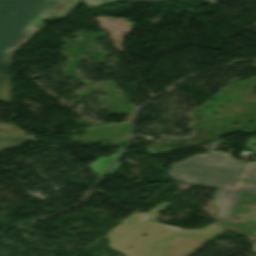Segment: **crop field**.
Here are the masks:
<instances>
[{
    "label": "crop field",
    "mask_w": 256,
    "mask_h": 256,
    "mask_svg": "<svg viewBox=\"0 0 256 256\" xmlns=\"http://www.w3.org/2000/svg\"><path fill=\"white\" fill-rule=\"evenodd\" d=\"M203 1H207V2H211V3H213V4H216V2H217L218 0H203Z\"/></svg>",
    "instance_id": "crop-field-15"
},
{
    "label": "crop field",
    "mask_w": 256,
    "mask_h": 256,
    "mask_svg": "<svg viewBox=\"0 0 256 256\" xmlns=\"http://www.w3.org/2000/svg\"><path fill=\"white\" fill-rule=\"evenodd\" d=\"M26 138L0 135V151L18 146L26 142Z\"/></svg>",
    "instance_id": "crop-field-8"
},
{
    "label": "crop field",
    "mask_w": 256,
    "mask_h": 256,
    "mask_svg": "<svg viewBox=\"0 0 256 256\" xmlns=\"http://www.w3.org/2000/svg\"><path fill=\"white\" fill-rule=\"evenodd\" d=\"M11 77L0 76V100L10 101ZM1 126L16 127L9 124H1ZM18 128V127H17Z\"/></svg>",
    "instance_id": "crop-field-7"
},
{
    "label": "crop field",
    "mask_w": 256,
    "mask_h": 256,
    "mask_svg": "<svg viewBox=\"0 0 256 256\" xmlns=\"http://www.w3.org/2000/svg\"><path fill=\"white\" fill-rule=\"evenodd\" d=\"M168 175L177 181L219 188L214 197V203L219 208L218 219H226L235 212L245 213L248 209L240 207V203H254L256 201V189L236 187L240 180L237 178L175 169H171ZM244 186L256 188V182L247 180ZM221 225L223 228L235 226L239 229V234H256V221L247 224H233L231 221H227ZM253 246V251L256 252V243H253Z\"/></svg>",
    "instance_id": "crop-field-3"
},
{
    "label": "crop field",
    "mask_w": 256,
    "mask_h": 256,
    "mask_svg": "<svg viewBox=\"0 0 256 256\" xmlns=\"http://www.w3.org/2000/svg\"><path fill=\"white\" fill-rule=\"evenodd\" d=\"M88 8L94 7L97 4H101L108 1H114V0H82Z\"/></svg>",
    "instance_id": "crop-field-13"
},
{
    "label": "crop field",
    "mask_w": 256,
    "mask_h": 256,
    "mask_svg": "<svg viewBox=\"0 0 256 256\" xmlns=\"http://www.w3.org/2000/svg\"><path fill=\"white\" fill-rule=\"evenodd\" d=\"M79 0H0V63L11 64L12 54L41 29L46 17L63 18Z\"/></svg>",
    "instance_id": "crop-field-1"
},
{
    "label": "crop field",
    "mask_w": 256,
    "mask_h": 256,
    "mask_svg": "<svg viewBox=\"0 0 256 256\" xmlns=\"http://www.w3.org/2000/svg\"><path fill=\"white\" fill-rule=\"evenodd\" d=\"M248 165V163L231 161L228 157L214 152L207 155H193L176 163L174 167L242 177Z\"/></svg>",
    "instance_id": "crop-field-4"
},
{
    "label": "crop field",
    "mask_w": 256,
    "mask_h": 256,
    "mask_svg": "<svg viewBox=\"0 0 256 256\" xmlns=\"http://www.w3.org/2000/svg\"><path fill=\"white\" fill-rule=\"evenodd\" d=\"M0 132L26 136V132H24L21 129H17V128H9V127H1L0 126Z\"/></svg>",
    "instance_id": "crop-field-9"
},
{
    "label": "crop field",
    "mask_w": 256,
    "mask_h": 256,
    "mask_svg": "<svg viewBox=\"0 0 256 256\" xmlns=\"http://www.w3.org/2000/svg\"><path fill=\"white\" fill-rule=\"evenodd\" d=\"M124 164L118 162L117 165L110 171L107 176H112L119 168H121Z\"/></svg>",
    "instance_id": "crop-field-14"
},
{
    "label": "crop field",
    "mask_w": 256,
    "mask_h": 256,
    "mask_svg": "<svg viewBox=\"0 0 256 256\" xmlns=\"http://www.w3.org/2000/svg\"><path fill=\"white\" fill-rule=\"evenodd\" d=\"M141 215L133 214L106 235L110 240L112 250L125 256H165L162 253L174 241L197 235L210 240L225 229L218 223L206 226L203 230H185L170 226H162L153 222H143ZM160 231L164 234L159 233ZM146 233L147 238L140 237ZM131 245H135L131 250Z\"/></svg>",
    "instance_id": "crop-field-2"
},
{
    "label": "crop field",
    "mask_w": 256,
    "mask_h": 256,
    "mask_svg": "<svg viewBox=\"0 0 256 256\" xmlns=\"http://www.w3.org/2000/svg\"><path fill=\"white\" fill-rule=\"evenodd\" d=\"M244 178L256 180V163L252 164Z\"/></svg>",
    "instance_id": "crop-field-12"
},
{
    "label": "crop field",
    "mask_w": 256,
    "mask_h": 256,
    "mask_svg": "<svg viewBox=\"0 0 256 256\" xmlns=\"http://www.w3.org/2000/svg\"><path fill=\"white\" fill-rule=\"evenodd\" d=\"M12 65L0 64V75L11 76Z\"/></svg>",
    "instance_id": "crop-field-11"
},
{
    "label": "crop field",
    "mask_w": 256,
    "mask_h": 256,
    "mask_svg": "<svg viewBox=\"0 0 256 256\" xmlns=\"http://www.w3.org/2000/svg\"><path fill=\"white\" fill-rule=\"evenodd\" d=\"M168 204L169 203H162V204L158 205L157 207L151 209L150 211H148L146 213L141 212L140 214H145V215L156 217V216H158L160 214V213H157V212L160 211L161 209H163Z\"/></svg>",
    "instance_id": "crop-field-10"
},
{
    "label": "crop field",
    "mask_w": 256,
    "mask_h": 256,
    "mask_svg": "<svg viewBox=\"0 0 256 256\" xmlns=\"http://www.w3.org/2000/svg\"><path fill=\"white\" fill-rule=\"evenodd\" d=\"M122 149L123 148H119L117 153L109 155L107 158L104 156L100 157L99 159L89 164V167L93 171L101 175L106 170V168L114 161V159L121 153Z\"/></svg>",
    "instance_id": "crop-field-6"
},
{
    "label": "crop field",
    "mask_w": 256,
    "mask_h": 256,
    "mask_svg": "<svg viewBox=\"0 0 256 256\" xmlns=\"http://www.w3.org/2000/svg\"><path fill=\"white\" fill-rule=\"evenodd\" d=\"M204 243L206 241L192 236L172 243L163 254L167 256H188Z\"/></svg>",
    "instance_id": "crop-field-5"
}]
</instances>
